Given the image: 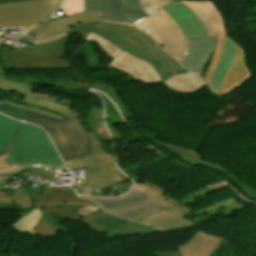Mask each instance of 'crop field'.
<instances>
[{"label":"crop field","mask_w":256,"mask_h":256,"mask_svg":"<svg viewBox=\"0 0 256 256\" xmlns=\"http://www.w3.org/2000/svg\"><path fill=\"white\" fill-rule=\"evenodd\" d=\"M3 102H5L6 104H9V105H13V106H16V107H19V108H22V109H28V110H34V111H38V112H42V113H45V114H49V115H52L58 119H63L62 117L58 116V115H55V114H51V113H47V112H43V111H40V110H36V109H32V108H28V107H24V106H20V105H16V104H13L7 100H2Z\"/></svg>","instance_id":"crop-field-38"},{"label":"crop field","mask_w":256,"mask_h":256,"mask_svg":"<svg viewBox=\"0 0 256 256\" xmlns=\"http://www.w3.org/2000/svg\"><path fill=\"white\" fill-rule=\"evenodd\" d=\"M72 187L82 188L83 191H82L81 194H84V195H91L92 189L84 188V187H79V186H74V185H72Z\"/></svg>","instance_id":"crop-field-42"},{"label":"crop field","mask_w":256,"mask_h":256,"mask_svg":"<svg viewBox=\"0 0 256 256\" xmlns=\"http://www.w3.org/2000/svg\"><path fill=\"white\" fill-rule=\"evenodd\" d=\"M56 226L48 222L44 217L39 221L34 230L42 236H56Z\"/></svg>","instance_id":"crop-field-34"},{"label":"crop field","mask_w":256,"mask_h":256,"mask_svg":"<svg viewBox=\"0 0 256 256\" xmlns=\"http://www.w3.org/2000/svg\"><path fill=\"white\" fill-rule=\"evenodd\" d=\"M82 220H84L86 223H88L90 226H92L94 229H96L99 232L106 231L109 238H114L119 235L124 236V235H128V234L146 235V234H151V233H156V232H163L154 227L136 223V222H133V223L123 226L121 228L110 231L87 217Z\"/></svg>","instance_id":"crop-field-23"},{"label":"crop field","mask_w":256,"mask_h":256,"mask_svg":"<svg viewBox=\"0 0 256 256\" xmlns=\"http://www.w3.org/2000/svg\"><path fill=\"white\" fill-rule=\"evenodd\" d=\"M0 89L8 92H17L26 98L23 101L18 98H12L16 101L25 102L32 105H38L42 108L55 111L65 116H73L75 118L78 117L75 115L76 114L75 112L70 110L75 105V103L67 101L61 97H57L49 94L33 93L34 84L17 83L9 80L0 79ZM52 99L56 101L68 103L70 104V106L64 107L62 105H57L51 101Z\"/></svg>","instance_id":"crop-field-10"},{"label":"crop field","mask_w":256,"mask_h":256,"mask_svg":"<svg viewBox=\"0 0 256 256\" xmlns=\"http://www.w3.org/2000/svg\"><path fill=\"white\" fill-rule=\"evenodd\" d=\"M102 19L123 23L121 0H101Z\"/></svg>","instance_id":"crop-field-27"},{"label":"crop field","mask_w":256,"mask_h":256,"mask_svg":"<svg viewBox=\"0 0 256 256\" xmlns=\"http://www.w3.org/2000/svg\"><path fill=\"white\" fill-rule=\"evenodd\" d=\"M93 32L103 35L105 38L112 41L113 43H115L116 45H118L119 47L124 49L125 51H127L143 60L150 62L156 68V70H157L158 74L160 75L163 82L169 78L168 74H170V73L167 71L163 62L161 60H159L158 58L152 56L151 54H149L142 48H140L135 43L131 42L130 40L124 38L123 36H121L115 32H112L110 30H105V29L96 27L93 30Z\"/></svg>","instance_id":"crop-field-17"},{"label":"crop field","mask_w":256,"mask_h":256,"mask_svg":"<svg viewBox=\"0 0 256 256\" xmlns=\"http://www.w3.org/2000/svg\"><path fill=\"white\" fill-rule=\"evenodd\" d=\"M87 217L93 219L94 221L98 222L99 224L105 226L110 230L133 222V221L122 219L112 214H109L105 212L102 208Z\"/></svg>","instance_id":"crop-field-26"},{"label":"crop field","mask_w":256,"mask_h":256,"mask_svg":"<svg viewBox=\"0 0 256 256\" xmlns=\"http://www.w3.org/2000/svg\"><path fill=\"white\" fill-rule=\"evenodd\" d=\"M81 87L89 88L90 86L87 85V84H81V83H76V86H68V85H66L67 89H77V90H79Z\"/></svg>","instance_id":"crop-field-41"},{"label":"crop field","mask_w":256,"mask_h":256,"mask_svg":"<svg viewBox=\"0 0 256 256\" xmlns=\"http://www.w3.org/2000/svg\"><path fill=\"white\" fill-rule=\"evenodd\" d=\"M162 10L176 21L186 38L208 35L200 19L186 5L174 1Z\"/></svg>","instance_id":"crop-field-14"},{"label":"crop field","mask_w":256,"mask_h":256,"mask_svg":"<svg viewBox=\"0 0 256 256\" xmlns=\"http://www.w3.org/2000/svg\"><path fill=\"white\" fill-rule=\"evenodd\" d=\"M217 36L188 38L186 49L179 62L200 75L216 45Z\"/></svg>","instance_id":"crop-field-12"},{"label":"crop field","mask_w":256,"mask_h":256,"mask_svg":"<svg viewBox=\"0 0 256 256\" xmlns=\"http://www.w3.org/2000/svg\"><path fill=\"white\" fill-rule=\"evenodd\" d=\"M23 1H28V0H0V5L7 4V3H14V2H23Z\"/></svg>","instance_id":"crop-field-44"},{"label":"crop field","mask_w":256,"mask_h":256,"mask_svg":"<svg viewBox=\"0 0 256 256\" xmlns=\"http://www.w3.org/2000/svg\"><path fill=\"white\" fill-rule=\"evenodd\" d=\"M158 143L163 145L165 148L169 149L171 152L182 158L183 160L193 164L194 166L204 164L212 169H215L217 171L223 172L227 174L231 179L236 180L238 177L233 176L228 173L229 170L215 164V163H209L203 159H201L202 155L200 152H194L190 149L182 148L175 146L173 144L167 143L165 141H162L160 139L156 140Z\"/></svg>","instance_id":"crop-field-21"},{"label":"crop field","mask_w":256,"mask_h":256,"mask_svg":"<svg viewBox=\"0 0 256 256\" xmlns=\"http://www.w3.org/2000/svg\"><path fill=\"white\" fill-rule=\"evenodd\" d=\"M5 194H6V193H5ZM5 194H4V193H2V192H0V197L5 196Z\"/></svg>","instance_id":"crop-field-48"},{"label":"crop field","mask_w":256,"mask_h":256,"mask_svg":"<svg viewBox=\"0 0 256 256\" xmlns=\"http://www.w3.org/2000/svg\"><path fill=\"white\" fill-rule=\"evenodd\" d=\"M92 155L66 161L70 170L86 169L82 185L90 188H108L118 182H126L113 163V158L105 154L100 141L96 136L90 134ZM76 185V184H74Z\"/></svg>","instance_id":"crop-field-5"},{"label":"crop field","mask_w":256,"mask_h":256,"mask_svg":"<svg viewBox=\"0 0 256 256\" xmlns=\"http://www.w3.org/2000/svg\"><path fill=\"white\" fill-rule=\"evenodd\" d=\"M137 27L151 34L158 43H166L163 50L180 59L186 45L181 29L164 11H159L139 24Z\"/></svg>","instance_id":"crop-field-8"},{"label":"crop field","mask_w":256,"mask_h":256,"mask_svg":"<svg viewBox=\"0 0 256 256\" xmlns=\"http://www.w3.org/2000/svg\"><path fill=\"white\" fill-rule=\"evenodd\" d=\"M103 24H104V22L101 21L100 24L98 25V27H101V28H102Z\"/></svg>","instance_id":"crop-field-47"},{"label":"crop field","mask_w":256,"mask_h":256,"mask_svg":"<svg viewBox=\"0 0 256 256\" xmlns=\"http://www.w3.org/2000/svg\"><path fill=\"white\" fill-rule=\"evenodd\" d=\"M236 182H238V184L244 188L246 191L249 192L250 196L252 197H256V190L255 189H252L250 186L242 183L241 181H239L238 179L236 180Z\"/></svg>","instance_id":"crop-field-39"},{"label":"crop field","mask_w":256,"mask_h":256,"mask_svg":"<svg viewBox=\"0 0 256 256\" xmlns=\"http://www.w3.org/2000/svg\"><path fill=\"white\" fill-rule=\"evenodd\" d=\"M38 24L36 25H30V26H23V27H17V28H20L23 33H27L28 31H30L32 28H34L35 26H37Z\"/></svg>","instance_id":"crop-field-43"},{"label":"crop field","mask_w":256,"mask_h":256,"mask_svg":"<svg viewBox=\"0 0 256 256\" xmlns=\"http://www.w3.org/2000/svg\"><path fill=\"white\" fill-rule=\"evenodd\" d=\"M221 238L210 236L201 231L187 244L181 246L184 256H209Z\"/></svg>","instance_id":"crop-field-19"},{"label":"crop field","mask_w":256,"mask_h":256,"mask_svg":"<svg viewBox=\"0 0 256 256\" xmlns=\"http://www.w3.org/2000/svg\"><path fill=\"white\" fill-rule=\"evenodd\" d=\"M32 170V174L33 175H37V176H41V177H45V178H49L53 180V176L54 174H56V172H44L42 168H31Z\"/></svg>","instance_id":"crop-field-36"},{"label":"crop field","mask_w":256,"mask_h":256,"mask_svg":"<svg viewBox=\"0 0 256 256\" xmlns=\"http://www.w3.org/2000/svg\"><path fill=\"white\" fill-rule=\"evenodd\" d=\"M145 183L146 185L136 184L134 188H139L146 191L151 197L161 204L164 210L132 220L149 224L164 229L165 231L190 226L193 224L192 222L180 218L191 211L180 205L175 200L169 199L171 194L165 190L154 186L147 180H145Z\"/></svg>","instance_id":"crop-field-6"},{"label":"crop field","mask_w":256,"mask_h":256,"mask_svg":"<svg viewBox=\"0 0 256 256\" xmlns=\"http://www.w3.org/2000/svg\"><path fill=\"white\" fill-rule=\"evenodd\" d=\"M103 28L110 29L112 31H115V32L123 35L124 37L135 42L142 48L147 46L149 49V53H151L152 55L161 59L164 62V64L167 66L169 72L172 73L173 75L178 70L183 68L176 61V59L174 57H172L171 55L160 50L157 47L156 42L153 38H151L147 34L143 33L142 31H140L130 25L116 24V23H109V22H106Z\"/></svg>","instance_id":"crop-field-11"},{"label":"crop field","mask_w":256,"mask_h":256,"mask_svg":"<svg viewBox=\"0 0 256 256\" xmlns=\"http://www.w3.org/2000/svg\"><path fill=\"white\" fill-rule=\"evenodd\" d=\"M0 45H2V41H0ZM2 48H0V50H1ZM2 73H3V69H2V67H1V65H0V78L2 77Z\"/></svg>","instance_id":"crop-field-45"},{"label":"crop field","mask_w":256,"mask_h":256,"mask_svg":"<svg viewBox=\"0 0 256 256\" xmlns=\"http://www.w3.org/2000/svg\"><path fill=\"white\" fill-rule=\"evenodd\" d=\"M180 2L185 3L202 20L209 35H226L223 17L212 1Z\"/></svg>","instance_id":"crop-field-15"},{"label":"crop field","mask_w":256,"mask_h":256,"mask_svg":"<svg viewBox=\"0 0 256 256\" xmlns=\"http://www.w3.org/2000/svg\"><path fill=\"white\" fill-rule=\"evenodd\" d=\"M167 87L184 93H193L204 87V83L198 76L189 72L184 75L171 77L164 82Z\"/></svg>","instance_id":"crop-field-25"},{"label":"crop field","mask_w":256,"mask_h":256,"mask_svg":"<svg viewBox=\"0 0 256 256\" xmlns=\"http://www.w3.org/2000/svg\"><path fill=\"white\" fill-rule=\"evenodd\" d=\"M43 213L36 207L31 210L26 216H23L19 221L12 227L19 232L28 231L31 234H37L33 228L38 221L43 217Z\"/></svg>","instance_id":"crop-field-28"},{"label":"crop field","mask_w":256,"mask_h":256,"mask_svg":"<svg viewBox=\"0 0 256 256\" xmlns=\"http://www.w3.org/2000/svg\"><path fill=\"white\" fill-rule=\"evenodd\" d=\"M61 1L34 0L0 6V28L44 22Z\"/></svg>","instance_id":"crop-field-7"},{"label":"crop field","mask_w":256,"mask_h":256,"mask_svg":"<svg viewBox=\"0 0 256 256\" xmlns=\"http://www.w3.org/2000/svg\"><path fill=\"white\" fill-rule=\"evenodd\" d=\"M101 19V10L98 11H90V12H83L76 15H72L63 19L51 21L42 24L41 26L34 29L32 32L36 33L37 35L32 39H44L56 36L68 28L80 24L82 22ZM27 39V38H24Z\"/></svg>","instance_id":"crop-field-16"},{"label":"crop field","mask_w":256,"mask_h":256,"mask_svg":"<svg viewBox=\"0 0 256 256\" xmlns=\"http://www.w3.org/2000/svg\"><path fill=\"white\" fill-rule=\"evenodd\" d=\"M86 40L95 41V42L99 43L105 49V51L113 58H115L121 52L124 51L121 48H119L118 46H116L115 44L111 43L110 41H108L107 39L102 37L101 35L95 34L93 32H91L89 34V36L86 38Z\"/></svg>","instance_id":"crop-field-31"},{"label":"crop field","mask_w":256,"mask_h":256,"mask_svg":"<svg viewBox=\"0 0 256 256\" xmlns=\"http://www.w3.org/2000/svg\"><path fill=\"white\" fill-rule=\"evenodd\" d=\"M22 124L0 114V156L14 145Z\"/></svg>","instance_id":"crop-field-24"},{"label":"crop field","mask_w":256,"mask_h":256,"mask_svg":"<svg viewBox=\"0 0 256 256\" xmlns=\"http://www.w3.org/2000/svg\"><path fill=\"white\" fill-rule=\"evenodd\" d=\"M249 76L243 49L227 36H218L214 55L204 74L211 91L222 96L237 88Z\"/></svg>","instance_id":"crop-field-3"},{"label":"crop field","mask_w":256,"mask_h":256,"mask_svg":"<svg viewBox=\"0 0 256 256\" xmlns=\"http://www.w3.org/2000/svg\"><path fill=\"white\" fill-rule=\"evenodd\" d=\"M109 66L121 70L134 79L146 84L162 82L155 68L150 63L132 56L125 51L116 57Z\"/></svg>","instance_id":"crop-field-13"},{"label":"crop field","mask_w":256,"mask_h":256,"mask_svg":"<svg viewBox=\"0 0 256 256\" xmlns=\"http://www.w3.org/2000/svg\"><path fill=\"white\" fill-rule=\"evenodd\" d=\"M88 62H89V68H94V69H102L98 56L96 54L95 48L92 44L88 43Z\"/></svg>","instance_id":"crop-field-35"},{"label":"crop field","mask_w":256,"mask_h":256,"mask_svg":"<svg viewBox=\"0 0 256 256\" xmlns=\"http://www.w3.org/2000/svg\"><path fill=\"white\" fill-rule=\"evenodd\" d=\"M100 21H92V22H88V23H84V24H81L79 26H76L66 32H64L63 34L55 37V38H50V39H45V40H35V41H32L34 42L35 44H44V43H48V42H53L61 37H64L66 39L69 38V36L71 34H73L74 32L76 31H79L82 35V39L85 40V38L87 37L88 33L90 31H92L99 23Z\"/></svg>","instance_id":"crop-field-30"},{"label":"crop field","mask_w":256,"mask_h":256,"mask_svg":"<svg viewBox=\"0 0 256 256\" xmlns=\"http://www.w3.org/2000/svg\"><path fill=\"white\" fill-rule=\"evenodd\" d=\"M64 205V208H70L69 211L63 209H44L43 207H51L56 204H37L36 207L40 209L44 214H54L65 220L66 218L77 219L84 218L92 212L98 210L99 208L83 205V204H65V203H57V205Z\"/></svg>","instance_id":"crop-field-22"},{"label":"crop field","mask_w":256,"mask_h":256,"mask_svg":"<svg viewBox=\"0 0 256 256\" xmlns=\"http://www.w3.org/2000/svg\"><path fill=\"white\" fill-rule=\"evenodd\" d=\"M86 11L101 9L100 0H84Z\"/></svg>","instance_id":"crop-field-37"},{"label":"crop field","mask_w":256,"mask_h":256,"mask_svg":"<svg viewBox=\"0 0 256 256\" xmlns=\"http://www.w3.org/2000/svg\"><path fill=\"white\" fill-rule=\"evenodd\" d=\"M1 34V33H0Z\"/></svg>","instance_id":"crop-field-49"},{"label":"crop field","mask_w":256,"mask_h":256,"mask_svg":"<svg viewBox=\"0 0 256 256\" xmlns=\"http://www.w3.org/2000/svg\"><path fill=\"white\" fill-rule=\"evenodd\" d=\"M68 40L60 39L53 43L37 45L40 49L15 47V51L4 49L0 52L3 69H57L72 68L65 56Z\"/></svg>","instance_id":"crop-field-4"},{"label":"crop field","mask_w":256,"mask_h":256,"mask_svg":"<svg viewBox=\"0 0 256 256\" xmlns=\"http://www.w3.org/2000/svg\"><path fill=\"white\" fill-rule=\"evenodd\" d=\"M92 87L108 95L110 99L118 106L124 118L126 120L128 119L146 140L153 143L154 146L157 147L158 149L163 148V146H161L154 140L158 136V134L153 133L154 131L153 132L149 131L148 129H146L145 127L139 124V122L133 116L131 110L128 108V106L119 96L117 89L100 80H95Z\"/></svg>","instance_id":"crop-field-18"},{"label":"crop field","mask_w":256,"mask_h":256,"mask_svg":"<svg viewBox=\"0 0 256 256\" xmlns=\"http://www.w3.org/2000/svg\"><path fill=\"white\" fill-rule=\"evenodd\" d=\"M172 1L173 0H140V3L146 13L150 16Z\"/></svg>","instance_id":"crop-field-32"},{"label":"crop field","mask_w":256,"mask_h":256,"mask_svg":"<svg viewBox=\"0 0 256 256\" xmlns=\"http://www.w3.org/2000/svg\"><path fill=\"white\" fill-rule=\"evenodd\" d=\"M152 253L156 254L158 256H182L181 251L169 252V253H154V252H152Z\"/></svg>","instance_id":"crop-field-40"},{"label":"crop field","mask_w":256,"mask_h":256,"mask_svg":"<svg viewBox=\"0 0 256 256\" xmlns=\"http://www.w3.org/2000/svg\"><path fill=\"white\" fill-rule=\"evenodd\" d=\"M26 166L64 168L46 133L24 123L15 145L0 157V173Z\"/></svg>","instance_id":"crop-field-2"},{"label":"crop field","mask_w":256,"mask_h":256,"mask_svg":"<svg viewBox=\"0 0 256 256\" xmlns=\"http://www.w3.org/2000/svg\"><path fill=\"white\" fill-rule=\"evenodd\" d=\"M91 200L100 203L106 211L129 219L162 209L160 204L139 189H133L116 199L91 198Z\"/></svg>","instance_id":"crop-field-9"},{"label":"crop field","mask_w":256,"mask_h":256,"mask_svg":"<svg viewBox=\"0 0 256 256\" xmlns=\"http://www.w3.org/2000/svg\"><path fill=\"white\" fill-rule=\"evenodd\" d=\"M124 23L131 24L147 15L138 0H122Z\"/></svg>","instance_id":"crop-field-29"},{"label":"crop field","mask_w":256,"mask_h":256,"mask_svg":"<svg viewBox=\"0 0 256 256\" xmlns=\"http://www.w3.org/2000/svg\"><path fill=\"white\" fill-rule=\"evenodd\" d=\"M58 9L63 13V16H61L59 18L66 17L65 13L61 10V8L59 7ZM59 18H57V19H59ZM51 20H55V19H51ZM51 20H49V21H51Z\"/></svg>","instance_id":"crop-field-46"},{"label":"crop field","mask_w":256,"mask_h":256,"mask_svg":"<svg viewBox=\"0 0 256 256\" xmlns=\"http://www.w3.org/2000/svg\"><path fill=\"white\" fill-rule=\"evenodd\" d=\"M60 7L67 16L85 11L83 0H65Z\"/></svg>","instance_id":"crop-field-33"},{"label":"crop field","mask_w":256,"mask_h":256,"mask_svg":"<svg viewBox=\"0 0 256 256\" xmlns=\"http://www.w3.org/2000/svg\"><path fill=\"white\" fill-rule=\"evenodd\" d=\"M0 111L17 119L39 124L46 128L64 161L91 155L89 132L72 117L58 120L42 113L22 110L0 101Z\"/></svg>","instance_id":"crop-field-1"},{"label":"crop field","mask_w":256,"mask_h":256,"mask_svg":"<svg viewBox=\"0 0 256 256\" xmlns=\"http://www.w3.org/2000/svg\"><path fill=\"white\" fill-rule=\"evenodd\" d=\"M31 196L35 204L39 202H56V201H65V202H79V203H90L99 207L98 205L91 203L89 201H84L78 199L75 195L71 194L69 188H56L52 189L45 188L44 190L40 189H29Z\"/></svg>","instance_id":"crop-field-20"}]
</instances>
